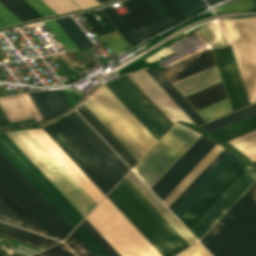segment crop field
Instances as JSON below:
<instances>
[{
    "instance_id": "obj_4",
    "label": "crop field",
    "mask_w": 256,
    "mask_h": 256,
    "mask_svg": "<svg viewBox=\"0 0 256 256\" xmlns=\"http://www.w3.org/2000/svg\"><path fill=\"white\" fill-rule=\"evenodd\" d=\"M0 185L47 236L63 240L73 230L1 153Z\"/></svg>"
},
{
    "instance_id": "obj_28",
    "label": "crop field",
    "mask_w": 256,
    "mask_h": 256,
    "mask_svg": "<svg viewBox=\"0 0 256 256\" xmlns=\"http://www.w3.org/2000/svg\"><path fill=\"white\" fill-rule=\"evenodd\" d=\"M225 97L226 96L221 82L186 96L188 101L194 106L196 110Z\"/></svg>"
},
{
    "instance_id": "obj_29",
    "label": "crop field",
    "mask_w": 256,
    "mask_h": 256,
    "mask_svg": "<svg viewBox=\"0 0 256 256\" xmlns=\"http://www.w3.org/2000/svg\"><path fill=\"white\" fill-rule=\"evenodd\" d=\"M56 21L74 42L78 49L93 46L92 42L88 39V37L84 34V32L72 17L68 16L56 19Z\"/></svg>"
},
{
    "instance_id": "obj_44",
    "label": "crop field",
    "mask_w": 256,
    "mask_h": 256,
    "mask_svg": "<svg viewBox=\"0 0 256 256\" xmlns=\"http://www.w3.org/2000/svg\"><path fill=\"white\" fill-rule=\"evenodd\" d=\"M102 39L116 55L130 48L118 32L102 37Z\"/></svg>"
},
{
    "instance_id": "obj_32",
    "label": "crop field",
    "mask_w": 256,
    "mask_h": 256,
    "mask_svg": "<svg viewBox=\"0 0 256 256\" xmlns=\"http://www.w3.org/2000/svg\"><path fill=\"white\" fill-rule=\"evenodd\" d=\"M101 10L111 21V23L116 27V29L120 32V34L125 38V40L130 44L131 47L140 42V39L138 40V38L127 26V24L116 12L112 5L102 8Z\"/></svg>"
},
{
    "instance_id": "obj_8",
    "label": "crop field",
    "mask_w": 256,
    "mask_h": 256,
    "mask_svg": "<svg viewBox=\"0 0 256 256\" xmlns=\"http://www.w3.org/2000/svg\"><path fill=\"white\" fill-rule=\"evenodd\" d=\"M200 136L175 124L133 170L151 188Z\"/></svg>"
},
{
    "instance_id": "obj_5",
    "label": "crop field",
    "mask_w": 256,
    "mask_h": 256,
    "mask_svg": "<svg viewBox=\"0 0 256 256\" xmlns=\"http://www.w3.org/2000/svg\"><path fill=\"white\" fill-rule=\"evenodd\" d=\"M86 219L121 256H161L107 197Z\"/></svg>"
},
{
    "instance_id": "obj_2",
    "label": "crop field",
    "mask_w": 256,
    "mask_h": 256,
    "mask_svg": "<svg viewBox=\"0 0 256 256\" xmlns=\"http://www.w3.org/2000/svg\"><path fill=\"white\" fill-rule=\"evenodd\" d=\"M200 242L213 256H256V202L246 192Z\"/></svg>"
},
{
    "instance_id": "obj_24",
    "label": "crop field",
    "mask_w": 256,
    "mask_h": 256,
    "mask_svg": "<svg viewBox=\"0 0 256 256\" xmlns=\"http://www.w3.org/2000/svg\"><path fill=\"white\" fill-rule=\"evenodd\" d=\"M0 234L24 243L31 244L35 246L37 249H39L40 251L59 243V241L29 232L23 229H19L1 222H0Z\"/></svg>"
},
{
    "instance_id": "obj_14",
    "label": "crop field",
    "mask_w": 256,
    "mask_h": 256,
    "mask_svg": "<svg viewBox=\"0 0 256 256\" xmlns=\"http://www.w3.org/2000/svg\"><path fill=\"white\" fill-rule=\"evenodd\" d=\"M248 167L238 158L180 219L184 225L189 229Z\"/></svg>"
},
{
    "instance_id": "obj_33",
    "label": "crop field",
    "mask_w": 256,
    "mask_h": 256,
    "mask_svg": "<svg viewBox=\"0 0 256 256\" xmlns=\"http://www.w3.org/2000/svg\"><path fill=\"white\" fill-rule=\"evenodd\" d=\"M256 113V103L253 105H250L248 107H245L243 109H240L238 111H235L233 113H230L226 116H223L221 118H218L216 120H213L211 122H208L206 124L201 125V127H203L204 129H206L207 131L211 132L215 129H218L220 127H223L227 124H230L232 122H235L239 119H242L246 116H249L251 114Z\"/></svg>"
},
{
    "instance_id": "obj_57",
    "label": "crop field",
    "mask_w": 256,
    "mask_h": 256,
    "mask_svg": "<svg viewBox=\"0 0 256 256\" xmlns=\"http://www.w3.org/2000/svg\"><path fill=\"white\" fill-rule=\"evenodd\" d=\"M27 3H29L33 8H35L39 13H41L43 16L55 14V12L50 9L45 3H43L41 0H25Z\"/></svg>"
},
{
    "instance_id": "obj_73",
    "label": "crop field",
    "mask_w": 256,
    "mask_h": 256,
    "mask_svg": "<svg viewBox=\"0 0 256 256\" xmlns=\"http://www.w3.org/2000/svg\"><path fill=\"white\" fill-rule=\"evenodd\" d=\"M254 163L256 164V161H254Z\"/></svg>"
},
{
    "instance_id": "obj_42",
    "label": "crop field",
    "mask_w": 256,
    "mask_h": 256,
    "mask_svg": "<svg viewBox=\"0 0 256 256\" xmlns=\"http://www.w3.org/2000/svg\"><path fill=\"white\" fill-rule=\"evenodd\" d=\"M186 17H190L206 7L202 0H173Z\"/></svg>"
},
{
    "instance_id": "obj_59",
    "label": "crop field",
    "mask_w": 256,
    "mask_h": 256,
    "mask_svg": "<svg viewBox=\"0 0 256 256\" xmlns=\"http://www.w3.org/2000/svg\"><path fill=\"white\" fill-rule=\"evenodd\" d=\"M149 2L153 5V7L157 10V12L161 15V17L166 21L169 27L175 25L174 21L169 17V15L165 12V10L160 6V4L156 0H149Z\"/></svg>"
},
{
    "instance_id": "obj_36",
    "label": "crop field",
    "mask_w": 256,
    "mask_h": 256,
    "mask_svg": "<svg viewBox=\"0 0 256 256\" xmlns=\"http://www.w3.org/2000/svg\"><path fill=\"white\" fill-rule=\"evenodd\" d=\"M196 31L210 47L223 46L227 44L218 24L204 25Z\"/></svg>"
},
{
    "instance_id": "obj_53",
    "label": "crop field",
    "mask_w": 256,
    "mask_h": 256,
    "mask_svg": "<svg viewBox=\"0 0 256 256\" xmlns=\"http://www.w3.org/2000/svg\"><path fill=\"white\" fill-rule=\"evenodd\" d=\"M35 256H74L63 243H60Z\"/></svg>"
},
{
    "instance_id": "obj_47",
    "label": "crop field",
    "mask_w": 256,
    "mask_h": 256,
    "mask_svg": "<svg viewBox=\"0 0 256 256\" xmlns=\"http://www.w3.org/2000/svg\"><path fill=\"white\" fill-rule=\"evenodd\" d=\"M255 7L250 2V0H235L226 5L220 6L214 9V12H232V11H243V10H253Z\"/></svg>"
},
{
    "instance_id": "obj_72",
    "label": "crop field",
    "mask_w": 256,
    "mask_h": 256,
    "mask_svg": "<svg viewBox=\"0 0 256 256\" xmlns=\"http://www.w3.org/2000/svg\"><path fill=\"white\" fill-rule=\"evenodd\" d=\"M0 124H2V121H1V119H0Z\"/></svg>"
},
{
    "instance_id": "obj_69",
    "label": "crop field",
    "mask_w": 256,
    "mask_h": 256,
    "mask_svg": "<svg viewBox=\"0 0 256 256\" xmlns=\"http://www.w3.org/2000/svg\"><path fill=\"white\" fill-rule=\"evenodd\" d=\"M100 3H102V2H105V1H108V0H98Z\"/></svg>"
},
{
    "instance_id": "obj_66",
    "label": "crop field",
    "mask_w": 256,
    "mask_h": 256,
    "mask_svg": "<svg viewBox=\"0 0 256 256\" xmlns=\"http://www.w3.org/2000/svg\"><path fill=\"white\" fill-rule=\"evenodd\" d=\"M0 117H1V119L3 121V123H8V120L5 117V115H4L3 111L1 110V108H0Z\"/></svg>"
},
{
    "instance_id": "obj_50",
    "label": "crop field",
    "mask_w": 256,
    "mask_h": 256,
    "mask_svg": "<svg viewBox=\"0 0 256 256\" xmlns=\"http://www.w3.org/2000/svg\"><path fill=\"white\" fill-rule=\"evenodd\" d=\"M0 220L28 229L23 222L0 199Z\"/></svg>"
},
{
    "instance_id": "obj_60",
    "label": "crop field",
    "mask_w": 256,
    "mask_h": 256,
    "mask_svg": "<svg viewBox=\"0 0 256 256\" xmlns=\"http://www.w3.org/2000/svg\"><path fill=\"white\" fill-rule=\"evenodd\" d=\"M22 95V94H21ZM25 100L27 101L29 107L31 108L33 114L35 115L37 121L43 120L41 115L39 114L38 110L36 109L35 105L33 104L32 100L30 99L27 93L23 94Z\"/></svg>"
},
{
    "instance_id": "obj_18",
    "label": "crop field",
    "mask_w": 256,
    "mask_h": 256,
    "mask_svg": "<svg viewBox=\"0 0 256 256\" xmlns=\"http://www.w3.org/2000/svg\"><path fill=\"white\" fill-rule=\"evenodd\" d=\"M213 57L210 49L195 55L187 60H184L164 71L162 73L167 79L173 83L187 76L205 70L214 66Z\"/></svg>"
},
{
    "instance_id": "obj_48",
    "label": "crop field",
    "mask_w": 256,
    "mask_h": 256,
    "mask_svg": "<svg viewBox=\"0 0 256 256\" xmlns=\"http://www.w3.org/2000/svg\"><path fill=\"white\" fill-rule=\"evenodd\" d=\"M157 1L166 10V12L170 15V17L175 21L176 24L187 19L172 0H157Z\"/></svg>"
},
{
    "instance_id": "obj_52",
    "label": "crop field",
    "mask_w": 256,
    "mask_h": 256,
    "mask_svg": "<svg viewBox=\"0 0 256 256\" xmlns=\"http://www.w3.org/2000/svg\"><path fill=\"white\" fill-rule=\"evenodd\" d=\"M47 5H49L57 13L72 11L79 9L70 0H43Z\"/></svg>"
},
{
    "instance_id": "obj_16",
    "label": "crop field",
    "mask_w": 256,
    "mask_h": 256,
    "mask_svg": "<svg viewBox=\"0 0 256 256\" xmlns=\"http://www.w3.org/2000/svg\"><path fill=\"white\" fill-rule=\"evenodd\" d=\"M237 158L228 152L172 212L180 219Z\"/></svg>"
},
{
    "instance_id": "obj_9",
    "label": "crop field",
    "mask_w": 256,
    "mask_h": 256,
    "mask_svg": "<svg viewBox=\"0 0 256 256\" xmlns=\"http://www.w3.org/2000/svg\"><path fill=\"white\" fill-rule=\"evenodd\" d=\"M90 100L142 156L157 141L105 85Z\"/></svg>"
},
{
    "instance_id": "obj_19",
    "label": "crop field",
    "mask_w": 256,
    "mask_h": 256,
    "mask_svg": "<svg viewBox=\"0 0 256 256\" xmlns=\"http://www.w3.org/2000/svg\"><path fill=\"white\" fill-rule=\"evenodd\" d=\"M133 186L149 201V203L166 219V221L182 236L190 245L195 238L185 227L164 207V205L142 184V182L130 172L125 176Z\"/></svg>"
},
{
    "instance_id": "obj_12",
    "label": "crop field",
    "mask_w": 256,
    "mask_h": 256,
    "mask_svg": "<svg viewBox=\"0 0 256 256\" xmlns=\"http://www.w3.org/2000/svg\"><path fill=\"white\" fill-rule=\"evenodd\" d=\"M255 179L256 172L249 167L189 229L195 237L199 239Z\"/></svg>"
},
{
    "instance_id": "obj_70",
    "label": "crop field",
    "mask_w": 256,
    "mask_h": 256,
    "mask_svg": "<svg viewBox=\"0 0 256 256\" xmlns=\"http://www.w3.org/2000/svg\"><path fill=\"white\" fill-rule=\"evenodd\" d=\"M0 256H6L5 254H3L1 251H0Z\"/></svg>"
},
{
    "instance_id": "obj_38",
    "label": "crop field",
    "mask_w": 256,
    "mask_h": 256,
    "mask_svg": "<svg viewBox=\"0 0 256 256\" xmlns=\"http://www.w3.org/2000/svg\"><path fill=\"white\" fill-rule=\"evenodd\" d=\"M230 111L231 109L226 98L198 110V112L208 121L227 114Z\"/></svg>"
},
{
    "instance_id": "obj_63",
    "label": "crop field",
    "mask_w": 256,
    "mask_h": 256,
    "mask_svg": "<svg viewBox=\"0 0 256 256\" xmlns=\"http://www.w3.org/2000/svg\"><path fill=\"white\" fill-rule=\"evenodd\" d=\"M23 5H25L33 14H35L38 18L42 17L36 10H34L30 5H28L24 0H19ZM39 14V15H37Z\"/></svg>"
},
{
    "instance_id": "obj_23",
    "label": "crop field",
    "mask_w": 256,
    "mask_h": 256,
    "mask_svg": "<svg viewBox=\"0 0 256 256\" xmlns=\"http://www.w3.org/2000/svg\"><path fill=\"white\" fill-rule=\"evenodd\" d=\"M220 77L218 75L216 67H212L203 72L195 74L184 80H181L173 85L184 95L191 94L205 87L213 85L220 82Z\"/></svg>"
},
{
    "instance_id": "obj_37",
    "label": "crop field",
    "mask_w": 256,
    "mask_h": 256,
    "mask_svg": "<svg viewBox=\"0 0 256 256\" xmlns=\"http://www.w3.org/2000/svg\"><path fill=\"white\" fill-rule=\"evenodd\" d=\"M0 198L11 208V210L24 222L32 231L45 235L40 228L27 216V214L14 202V200L1 188Z\"/></svg>"
},
{
    "instance_id": "obj_40",
    "label": "crop field",
    "mask_w": 256,
    "mask_h": 256,
    "mask_svg": "<svg viewBox=\"0 0 256 256\" xmlns=\"http://www.w3.org/2000/svg\"><path fill=\"white\" fill-rule=\"evenodd\" d=\"M80 225L109 256H120L86 219Z\"/></svg>"
},
{
    "instance_id": "obj_54",
    "label": "crop field",
    "mask_w": 256,
    "mask_h": 256,
    "mask_svg": "<svg viewBox=\"0 0 256 256\" xmlns=\"http://www.w3.org/2000/svg\"><path fill=\"white\" fill-rule=\"evenodd\" d=\"M231 45H232V48H233V51H234V54H235V57H236V60H237V63H238L241 75H242V78H243V81H244V84H245V87H246V90H247L250 102L252 103L255 100H254V97H253V94H252V91H251V88H250V85H249L246 73L244 71V68H243V65H242V62H241V59H240V56H239L236 44L233 43Z\"/></svg>"
},
{
    "instance_id": "obj_64",
    "label": "crop field",
    "mask_w": 256,
    "mask_h": 256,
    "mask_svg": "<svg viewBox=\"0 0 256 256\" xmlns=\"http://www.w3.org/2000/svg\"><path fill=\"white\" fill-rule=\"evenodd\" d=\"M253 199L256 201V182L253 184V186L247 191Z\"/></svg>"
},
{
    "instance_id": "obj_45",
    "label": "crop field",
    "mask_w": 256,
    "mask_h": 256,
    "mask_svg": "<svg viewBox=\"0 0 256 256\" xmlns=\"http://www.w3.org/2000/svg\"><path fill=\"white\" fill-rule=\"evenodd\" d=\"M45 23L58 38V40L62 43V45L66 48L67 51L77 49L55 20L46 21Z\"/></svg>"
},
{
    "instance_id": "obj_49",
    "label": "crop field",
    "mask_w": 256,
    "mask_h": 256,
    "mask_svg": "<svg viewBox=\"0 0 256 256\" xmlns=\"http://www.w3.org/2000/svg\"><path fill=\"white\" fill-rule=\"evenodd\" d=\"M223 150L220 146L212 156L193 174V176L174 194L165 204L167 207L181 194V192L210 164V162Z\"/></svg>"
},
{
    "instance_id": "obj_71",
    "label": "crop field",
    "mask_w": 256,
    "mask_h": 256,
    "mask_svg": "<svg viewBox=\"0 0 256 256\" xmlns=\"http://www.w3.org/2000/svg\"><path fill=\"white\" fill-rule=\"evenodd\" d=\"M5 25L0 22V27H4Z\"/></svg>"
},
{
    "instance_id": "obj_27",
    "label": "crop field",
    "mask_w": 256,
    "mask_h": 256,
    "mask_svg": "<svg viewBox=\"0 0 256 256\" xmlns=\"http://www.w3.org/2000/svg\"><path fill=\"white\" fill-rule=\"evenodd\" d=\"M256 76V17L236 19Z\"/></svg>"
},
{
    "instance_id": "obj_17",
    "label": "crop field",
    "mask_w": 256,
    "mask_h": 256,
    "mask_svg": "<svg viewBox=\"0 0 256 256\" xmlns=\"http://www.w3.org/2000/svg\"><path fill=\"white\" fill-rule=\"evenodd\" d=\"M105 85L132 112V114L152 133V135L157 140L166 132L116 79L108 82Z\"/></svg>"
},
{
    "instance_id": "obj_58",
    "label": "crop field",
    "mask_w": 256,
    "mask_h": 256,
    "mask_svg": "<svg viewBox=\"0 0 256 256\" xmlns=\"http://www.w3.org/2000/svg\"><path fill=\"white\" fill-rule=\"evenodd\" d=\"M0 19L7 25H12L20 23L21 21L17 19L11 12H9L3 5L0 4Z\"/></svg>"
},
{
    "instance_id": "obj_7",
    "label": "crop field",
    "mask_w": 256,
    "mask_h": 256,
    "mask_svg": "<svg viewBox=\"0 0 256 256\" xmlns=\"http://www.w3.org/2000/svg\"><path fill=\"white\" fill-rule=\"evenodd\" d=\"M0 152L73 229L78 225L84 217L8 137L6 133L0 134Z\"/></svg>"
},
{
    "instance_id": "obj_34",
    "label": "crop field",
    "mask_w": 256,
    "mask_h": 256,
    "mask_svg": "<svg viewBox=\"0 0 256 256\" xmlns=\"http://www.w3.org/2000/svg\"><path fill=\"white\" fill-rule=\"evenodd\" d=\"M91 112L104 124V126L118 139V141L131 153L138 161L142 156L135 148L122 136V134L108 121V119L89 100L84 103Z\"/></svg>"
},
{
    "instance_id": "obj_67",
    "label": "crop field",
    "mask_w": 256,
    "mask_h": 256,
    "mask_svg": "<svg viewBox=\"0 0 256 256\" xmlns=\"http://www.w3.org/2000/svg\"><path fill=\"white\" fill-rule=\"evenodd\" d=\"M209 5L214 4L220 0H205Z\"/></svg>"
},
{
    "instance_id": "obj_10",
    "label": "crop field",
    "mask_w": 256,
    "mask_h": 256,
    "mask_svg": "<svg viewBox=\"0 0 256 256\" xmlns=\"http://www.w3.org/2000/svg\"><path fill=\"white\" fill-rule=\"evenodd\" d=\"M215 144L201 136L151 188L154 193L163 201Z\"/></svg>"
},
{
    "instance_id": "obj_22",
    "label": "crop field",
    "mask_w": 256,
    "mask_h": 256,
    "mask_svg": "<svg viewBox=\"0 0 256 256\" xmlns=\"http://www.w3.org/2000/svg\"><path fill=\"white\" fill-rule=\"evenodd\" d=\"M77 110L97 130V132L111 145V147L124 159V161L130 167L135 165L137 161L117 141V139L103 126V124L90 112V110L84 104L80 105L77 108Z\"/></svg>"
},
{
    "instance_id": "obj_13",
    "label": "crop field",
    "mask_w": 256,
    "mask_h": 256,
    "mask_svg": "<svg viewBox=\"0 0 256 256\" xmlns=\"http://www.w3.org/2000/svg\"><path fill=\"white\" fill-rule=\"evenodd\" d=\"M122 3L130 12L122 17L140 41L168 28L147 0H124Z\"/></svg>"
},
{
    "instance_id": "obj_46",
    "label": "crop field",
    "mask_w": 256,
    "mask_h": 256,
    "mask_svg": "<svg viewBox=\"0 0 256 256\" xmlns=\"http://www.w3.org/2000/svg\"><path fill=\"white\" fill-rule=\"evenodd\" d=\"M65 243L77 256H94L73 232L65 240Z\"/></svg>"
},
{
    "instance_id": "obj_41",
    "label": "crop field",
    "mask_w": 256,
    "mask_h": 256,
    "mask_svg": "<svg viewBox=\"0 0 256 256\" xmlns=\"http://www.w3.org/2000/svg\"><path fill=\"white\" fill-rule=\"evenodd\" d=\"M225 149L211 162V164L182 192V194L168 207L171 211L178 203L199 183V181L218 163L227 153Z\"/></svg>"
},
{
    "instance_id": "obj_1",
    "label": "crop field",
    "mask_w": 256,
    "mask_h": 256,
    "mask_svg": "<svg viewBox=\"0 0 256 256\" xmlns=\"http://www.w3.org/2000/svg\"><path fill=\"white\" fill-rule=\"evenodd\" d=\"M107 197L162 256L189 246L125 177Z\"/></svg>"
},
{
    "instance_id": "obj_6",
    "label": "crop field",
    "mask_w": 256,
    "mask_h": 256,
    "mask_svg": "<svg viewBox=\"0 0 256 256\" xmlns=\"http://www.w3.org/2000/svg\"><path fill=\"white\" fill-rule=\"evenodd\" d=\"M7 134L84 217L97 205L28 130Z\"/></svg>"
},
{
    "instance_id": "obj_31",
    "label": "crop field",
    "mask_w": 256,
    "mask_h": 256,
    "mask_svg": "<svg viewBox=\"0 0 256 256\" xmlns=\"http://www.w3.org/2000/svg\"><path fill=\"white\" fill-rule=\"evenodd\" d=\"M253 128H256V114L211 133L226 140Z\"/></svg>"
},
{
    "instance_id": "obj_65",
    "label": "crop field",
    "mask_w": 256,
    "mask_h": 256,
    "mask_svg": "<svg viewBox=\"0 0 256 256\" xmlns=\"http://www.w3.org/2000/svg\"><path fill=\"white\" fill-rule=\"evenodd\" d=\"M27 94H28V93H27ZM29 95H30V97L32 98L33 102L35 103V105H36L37 109L39 110L40 114L42 115L43 119H46L45 116H44V114H43V112L41 111L40 107L38 106L36 100L34 99L32 93H29ZM31 98H30V99H31ZM34 103H33V104H34Z\"/></svg>"
},
{
    "instance_id": "obj_43",
    "label": "crop field",
    "mask_w": 256,
    "mask_h": 256,
    "mask_svg": "<svg viewBox=\"0 0 256 256\" xmlns=\"http://www.w3.org/2000/svg\"><path fill=\"white\" fill-rule=\"evenodd\" d=\"M73 232L95 256H108L80 225Z\"/></svg>"
},
{
    "instance_id": "obj_61",
    "label": "crop field",
    "mask_w": 256,
    "mask_h": 256,
    "mask_svg": "<svg viewBox=\"0 0 256 256\" xmlns=\"http://www.w3.org/2000/svg\"><path fill=\"white\" fill-rule=\"evenodd\" d=\"M120 78L127 84V86L144 102V104L161 120V122L169 129L170 127L162 120V118L146 103V101L129 85V83L122 77Z\"/></svg>"
},
{
    "instance_id": "obj_55",
    "label": "crop field",
    "mask_w": 256,
    "mask_h": 256,
    "mask_svg": "<svg viewBox=\"0 0 256 256\" xmlns=\"http://www.w3.org/2000/svg\"><path fill=\"white\" fill-rule=\"evenodd\" d=\"M176 256H210V255L199 243L196 242Z\"/></svg>"
},
{
    "instance_id": "obj_15",
    "label": "crop field",
    "mask_w": 256,
    "mask_h": 256,
    "mask_svg": "<svg viewBox=\"0 0 256 256\" xmlns=\"http://www.w3.org/2000/svg\"><path fill=\"white\" fill-rule=\"evenodd\" d=\"M35 138L98 204L105 196L42 129H29Z\"/></svg>"
},
{
    "instance_id": "obj_11",
    "label": "crop field",
    "mask_w": 256,
    "mask_h": 256,
    "mask_svg": "<svg viewBox=\"0 0 256 256\" xmlns=\"http://www.w3.org/2000/svg\"><path fill=\"white\" fill-rule=\"evenodd\" d=\"M218 65L227 95L232 109L249 104V99L231 48L227 45L223 48L212 49Z\"/></svg>"
},
{
    "instance_id": "obj_62",
    "label": "crop field",
    "mask_w": 256,
    "mask_h": 256,
    "mask_svg": "<svg viewBox=\"0 0 256 256\" xmlns=\"http://www.w3.org/2000/svg\"><path fill=\"white\" fill-rule=\"evenodd\" d=\"M73 1L77 3L81 8L100 4L96 0H73Z\"/></svg>"
},
{
    "instance_id": "obj_3",
    "label": "crop field",
    "mask_w": 256,
    "mask_h": 256,
    "mask_svg": "<svg viewBox=\"0 0 256 256\" xmlns=\"http://www.w3.org/2000/svg\"><path fill=\"white\" fill-rule=\"evenodd\" d=\"M43 130L105 195L122 178L65 117Z\"/></svg>"
},
{
    "instance_id": "obj_21",
    "label": "crop field",
    "mask_w": 256,
    "mask_h": 256,
    "mask_svg": "<svg viewBox=\"0 0 256 256\" xmlns=\"http://www.w3.org/2000/svg\"><path fill=\"white\" fill-rule=\"evenodd\" d=\"M33 95L46 118L58 115L71 107L62 90L38 91Z\"/></svg>"
},
{
    "instance_id": "obj_51",
    "label": "crop field",
    "mask_w": 256,
    "mask_h": 256,
    "mask_svg": "<svg viewBox=\"0 0 256 256\" xmlns=\"http://www.w3.org/2000/svg\"><path fill=\"white\" fill-rule=\"evenodd\" d=\"M81 124L100 142V144L119 162V164L128 172L129 168L122 160L109 148V146L94 132V130L78 115L76 111L71 112ZM116 161V162H117Z\"/></svg>"
},
{
    "instance_id": "obj_39",
    "label": "crop field",
    "mask_w": 256,
    "mask_h": 256,
    "mask_svg": "<svg viewBox=\"0 0 256 256\" xmlns=\"http://www.w3.org/2000/svg\"><path fill=\"white\" fill-rule=\"evenodd\" d=\"M0 3H2L8 10H10L22 22L27 21L29 19L37 18L18 0H0Z\"/></svg>"
},
{
    "instance_id": "obj_25",
    "label": "crop field",
    "mask_w": 256,
    "mask_h": 256,
    "mask_svg": "<svg viewBox=\"0 0 256 256\" xmlns=\"http://www.w3.org/2000/svg\"><path fill=\"white\" fill-rule=\"evenodd\" d=\"M0 106L7 116L9 122L31 118L35 119L21 94L0 98Z\"/></svg>"
},
{
    "instance_id": "obj_20",
    "label": "crop field",
    "mask_w": 256,
    "mask_h": 256,
    "mask_svg": "<svg viewBox=\"0 0 256 256\" xmlns=\"http://www.w3.org/2000/svg\"><path fill=\"white\" fill-rule=\"evenodd\" d=\"M219 24L228 40L229 43L236 41L245 71L247 73L255 100H256V79L240 35L237 23L235 19L221 18L218 20Z\"/></svg>"
},
{
    "instance_id": "obj_26",
    "label": "crop field",
    "mask_w": 256,
    "mask_h": 256,
    "mask_svg": "<svg viewBox=\"0 0 256 256\" xmlns=\"http://www.w3.org/2000/svg\"><path fill=\"white\" fill-rule=\"evenodd\" d=\"M145 70L164 89V91L177 103V105L190 117V119L196 125H199L205 122L160 73L151 71L149 69H145Z\"/></svg>"
},
{
    "instance_id": "obj_56",
    "label": "crop field",
    "mask_w": 256,
    "mask_h": 256,
    "mask_svg": "<svg viewBox=\"0 0 256 256\" xmlns=\"http://www.w3.org/2000/svg\"><path fill=\"white\" fill-rule=\"evenodd\" d=\"M219 147L215 145L212 150L197 164V166L183 179V181L170 193V195L163 201L164 204L173 196V194L192 176V174L211 156V154Z\"/></svg>"
},
{
    "instance_id": "obj_30",
    "label": "crop field",
    "mask_w": 256,
    "mask_h": 256,
    "mask_svg": "<svg viewBox=\"0 0 256 256\" xmlns=\"http://www.w3.org/2000/svg\"><path fill=\"white\" fill-rule=\"evenodd\" d=\"M65 117L75 126V128L94 146V148L113 166V168L122 177L127 173L71 113Z\"/></svg>"
},
{
    "instance_id": "obj_35",
    "label": "crop field",
    "mask_w": 256,
    "mask_h": 256,
    "mask_svg": "<svg viewBox=\"0 0 256 256\" xmlns=\"http://www.w3.org/2000/svg\"><path fill=\"white\" fill-rule=\"evenodd\" d=\"M228 143L240 150L250 160H256V130L231 140Z\"/></svg>"
},
{
    "instance_id": "obj_68",
    "label": "crop field",
    "mask_w": 256,
    "mask_h": 256,
    "mask_svg": "<svg viewBox=\"0 0 256 256\" xmlns=\"http://www.w3.org/2000/svg\"><path fill=\"white\" fill-rule=\"evenodd\" d=\"M251 2L254 4V6L256 7V0H251Z\"/></svg>"
}]
</instances>
